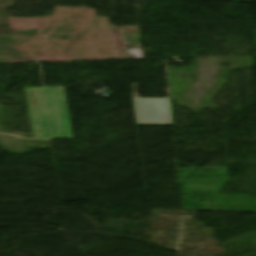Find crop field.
<instances>
[{
	"mask_svg": "<svg viewBox=\"0 0 256 256\" xmlns=\"http://www.w3.org/2000/svg\"><path fill=\"white\" fill-rule=\"evenodd\" d=\"M44 139H72L64 87L36 88Z\"/></svg>",
	"mask_w": 256,
	"mask_h": 256,
	"instance_id": "8a807250",
	"label": "crop field"
},
{
	"mask_svg": "<svg viewBox=\"0 0 256 256\" xmlns=\"http://www.w3.org/2000/svg\"><path fill=\"white\" fill-rule=\"evenodd\" d=\"M33 138L43 139L35 88L26 89Z\"/></svg>",
	"mask_w": 256,
	"mask_h": 256,
	"instance_id": "ac0d7876",
	"label": "crop field"
},
{
	"mask_svg": "<svg viewBox=\"0 0 256 256\" xmlns=\"http://www.w3.org/2000/svg\"><path fill=\"white\" fill-rule=\"evenodd\" d=\"M133 97H140L138 94V84H131Z\"/></svg>",
	"mask_w": 256,
	"mask_h": 256,
	"instance_id": "34b2d1b8",
	"label": "crop field"
}]
</instances>
